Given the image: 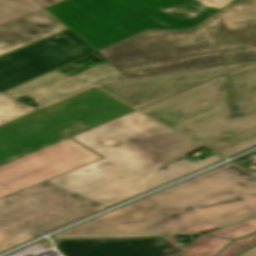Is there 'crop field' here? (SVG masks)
<instances>
[{
  "label": "crop field",
  "mask_w": 256,
  "mask_h": 256,
  "mask_svg": "<svg viewBox=\"0 0 256 256\" xmlns=\"http://www.w3.org/2000/svg\"><path fill=\"white\" fill-rule=\"evenodd\" d=\"M59 34L1 55L0 93L94 52L69 30Z\"/></svg>",
  "instance_id": "8"
},
{
  "label": "crop field",
  "mask_w": 256,
  "mask_h": 256,
  "mask_svg": "<svg viewBox=\"0 0 256 256\" xmlns=\"http://www.w3.org/2000/svg\"><path fill=\"white\" fill-rule=\"evenodd\" d=\"M231 118L256 113V65L223 76Z\"/></svg>",
  "instance_id": "14"
},
{
  "label": "crop field",
  "mask_w": 256,
  "mask_h": 256,
  "mask_svg": "<svg viewBox=\"0 0 256 256\" xmlns=\"http://www.w3.org/2000/svg\"><path fill=\"white\" fill-rule=\"evenodd\" d=\"M202 1L220 9L221 7H223L224 5H226L232 0H202Z\"/></svg>",
  "instance_id": "20"
},
{
  "label": "crop field",
  "mask_w": 256,
  "mask_h": 256,
  "mask_svg": "<svg viewBox=\"0 0 256 256\" xmlns=\"http://www.w3.org/2000/svg\"><path fill=\"white\" fill-rule=\"evenodd\" d=\"M17 103L7 100L0 96V124L28 114L36 109L19 108L15 106Z\"/></svg>",
  "instance_id": "18"
},
{
  "label": "crop field",
  "mask_w": 256,
  "mask_h": 256,
  "mask_svg": "<svg viewBox=\"0 0 256 256\" xmlns=\"http://www.w3.org/2000/svg\"><path fill=\"white\" fill-rule=\"evenodd\" d=\"M97 53L127 79L256 62V0L232 3L189 31H145Z\"/></svg>",
  "instance_id": "3"
},
{
  "label": "crop field",
  "mask_w": 256,
  "mask_h": 256,
  "mask_svg": "<svg viewBox=\"0 0 256 256\" xmlns=\"http://www.w3.org/2000/svg\"><path fill=\"white\" fill-rule=\"evenodd\" d=\"M256 244V234L236 240L228 245L218 256H235L243 249Z\"/></svg>",
  "instance_id": "19"
},
{
  "label": "crop field",
  "mask_w": 256,
  "mask_h": 256,
  "mask_svg": "<svg viewBox=\"0 0 256 256\" xmlns=\"http://www.w3.org/2000/svg\"><path fill=\"white\" fill-rule=\"evenodd\" d=\"M163 239L178 251L189 256H214L226 244L232 241L228 239H217L215 237H198L194 243L182 249L176 245L177 240L175 237H168Z\"/></svg>",
  "instance_id": "15"
},
{
  "label": "crop field",
  "mask_w": 256,
  "mask_h": 256,
  "mask_svg": "<svg viewBox=\"0 0 256 256\" xmlns=\"http://www.w3.org/2000/svg\"><path fill=\"white\" fill-rule=\"evenodd\" d=\"M107 208L44 181L0 199V252Z\"/></svg>",
  "instance_id": "7"
},
{
  "label": "crop field",
  "mask_w": 256,
  "mask_h": 256,
  "mask_svg": "<svg viewBox=\"0 0 256 256\" xmlns=\"http://www.w3.org/2000/svg\"><path fill=\"white\" fill-rule=\"evenodd\" d=\"M254 231H256V217L204 235H215L217 237L237 239Z\"/></svg>",
  "instance_id": "17"
},
{
  "label": "crop field",
  "mask_w": 256,
  "mask_h": 256,
  "mask_svg": "<svg viewBox=\"0 0 256 256\" xmlns=\"http://www.w3.org/2000/svg\"><path fill=\"white\" fill-rule=\"evenodd\" d=\"M239 256H256V246L241 253Z\"/></svg>",
  "instance_id": "22"
},
{
  "label": "crop field",
  "mask_w": 256,
  "mask_h": 256,
  "mask_svg": "<svg viewBox=\"0 0 256 256\" xmlns=\"http://www.w3.org/2000/svg\"><path fill=\"white\" fill-rule=\"evenodd\" d=\"M38 4H40L43 8L58 3L62 0H35Z\"/></svg>",
  "instance_id": "21"
},
{
  "label": "crop field",
  "mask_w": 256,
  "mask_h": 256,
  "mask_svg": "<svg viewBox=\"0 0 256 256\" xmlns=\"http://www.w3.org/2000/svg\"><path fill=\"white\" fill-rule=\"evenodd\" d=\"M120 80L125 79L105 62L70 78L55 69L1 94L12 99L26 95L35 100L37 107H42L94 84Z\"/></svg>",
  "instance_id": "10"
},
{
  "label": "crop field",
  "mask_w": 256,
  "mask_h": 256,
  "mask_svg": "<svg viewBox=\"0 0 256 256\" xmlns=\"http://www.w3.org/2000/svg\"><path fill=\"white\" fill-rule=\"evenodd\" d=\"M64 256H166L177 252L162 238L118 240H59Z\"/></svg>",
  "instance_id": "12"
},
{
  "label": "crop field",
  "mask_w": 256,
  "mask_h": 256,
  "mask_svg": "<svg viewBox=\"0 0 256 256\" xmlns=\"http://www.w3.org/2000/svg\"><path fill=\"white\" fill-rule=\"evenodd\" d=\"M97 88L0 126V165L131 112Z\"/></svg>",
  "instance_id": "6"
},
{
  "label": "crop field",
  "mask_w": 256,
  "mask_h": 256,
  "mask_svg": "<svg viewBox=\"0 0 256 256\" xmlns=\"http://www.w3.org/2000/svg\"><path fill=\"white\" fill-rule=\"evenodd\" d=\"M39 9L33 0H0V24Z\"/></svg>",
  "instance_id": "16"
},
{
  "label": "crop field",
  "mask_w": 256,
  "mask_h": 256,
  "mask_svg": "<svg viewBox=\"0 0 256 256\" xmlns=\"http://www.w3.org/2000/svg\"><path fill=\"white\" fill-rule=\"evenodd\" d=\"M72 139L104 158L47 181L106 206L223 159L214 155L193 163L183 158L161 173L157 169L201 146L136 111Z\"/></svg>",
  "instance_id": "1"
},
{
  "label": "crop field",
  "mask_w": 256,
  "mask_h": 256,
  "mask_svg": "<svg viewBox=\"0 0 256 256\" xmlns=\"http://www.w3.org/2000/svg\"><path fill=\"white\" fill-rule=\"evenodd\" d=\"M254 215L256 176L227 163L51 238L193 235Z\"/></svg>",
  "instance_id": "2"
},
{
  "label": "crop field",
  "mask_w": 256,
  "mask_h": 256,
  "mask_svg": "<svg viewBox=\"0 0 256 256\" xmlns=\"http://www.w3.org/2000/svg\"><path fill=\"white\" fill-rule=\"evenodd\" d=\"M45 10L97 51L145 29H189L218 9L200 0H65Z\"/></svg>",
  "instance_id": "4"
},
{
  "label": "crop field",
  "mask_w": 256,
  "mask_h": 256,
  "mask_svg": "<svg viewBox=\"0 0 256 256\" xmlns=\"http://www.w3.org/2000/svg\"><path fill=\"white\" fill-rule=\"evenodd\" d=\"M140 111L224 157L256 144V114L230 119L222 76Z\"/></svg>",
  "instance_id": "5"
},
{
  "label": "crop field",
  "mask_w": 256,
  "mask_h": 256,
  "mask_svg": "<svg viewBox=\"0 0 256 256\" xmlns=\"http://www.w3.org/2000/svg\"><path fill=\"white\" fill-rule=\"evenodd\" d=\"M238 67L240 66L124 81L99 87L139 109Z\"/></svg>",
  "instance_id": "11"
},
{
  "label": "crop field",
  "mask_w": 256,
  "mask_h": 256,
  "mask_svg": "<svg viewBox=\"0 0 256 256\" xmlns=\"http://www.w3.org/2000/svg\"><path fill=\"white\" fill-rule=\"evenodd\" d=\"M67 30L44 9L0 25V55Z\"/></svg>",
  "instance_id": "13"
},
{
  "label": "crop field",
  "mask_w": 256,
  "mask_h": 256,
  "mask_svg": "<svg viewBox=\"0 0 256 256\" xmlns=\"http://www.w3.org/2000/svg\"><path fill=\"white\" fill-rule=\"evenodd\" d=\"M101 158L67 138L0 166V198Z\"/></svg>",
  "instance_id": "9"
},
{
  "label": "crop field",
  "mask_w": 256,
  "mask_h": 256,
  "mask_svg": "<svg viewBox=\"0 0 256 256\" xmlns=\"http://www.w3.org/2000/svg\"><path fill=\"white\" fill-rule=\"evenodd\" d=\"M169 256H186V255H184V254H182V253L177 252V253H174V254L169 255Z\"/></svg>",
  "instance_id": "23"
}]
</instances>
